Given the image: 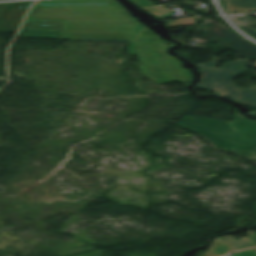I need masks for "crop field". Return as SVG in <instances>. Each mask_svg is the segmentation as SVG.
Here are the masks:
<instances>
[{
  "label": "crop field",
  "mask_w": 256,
  "mask_h": 256,
  "mask_svg": "<svg viewBox=\"0 0 256 256\" xmlns=\"http://www.w3.org/2000/svg\"><path fill=\"white\" fill-rule=\"evenodd\" d=\"M233 256H256V249H252V250L244 251V252H241V253H237Z\"/></svg>",
  "instance_id": "12"
},
{
  "label": "crop field",
  "mask_w": 256,
  "mask_h": 256,
  "mask_svg": "<svg viewBox=\"0 0 256 256\" xmlns=\"http://www.w3.org/2000/svg\"><path fill=\"white\" fill-rule=\"evenodd\" d=\"M178 124L203 134L217 149L256 157V121H249L240 114L233 123L184 117Z\"/></svg>",
  "instance_id": "2"
},
{
  "label": "crop field",
  "mask_w": 256,
  "mask_h": 256,
  "mask_svg": "<svg viewBox=\"0 0 256 256\" xmlns=\"http://www.w3.org/2000/svg\"><path fill=\"white\" fill-rule=\"evenodd\" d=\"M248 34L254 38H256V32L255 31H252V32H248Z\"/></svg>",
  "instance_id": "14"
},
{
  "label": "crop field",
  "mask_w": 256,
  "mask_h": 256,
  "mask_svg": "<svg viewBox=\"0 0 256 256\" xmlns=\"http://www.w3.org/2000/svg\"><path fill=\"white\" fill-rule=\"evenodd\" d=\"M34 1L1 3L0 4V32L16 33L22 20Z\"/></svg>",
  "instance_id": "5"
},
{
  "label": "crop field",
  "mask_w": 256,
  "mask_h": 256,
  "mask_svg": "<svg viewBox=\"0 0 256 256\" xmlns=\"http://www.w3.org/2000/svg\"><path fill=\"white\" fill-rule=\"evenodd\" d=\"M237 76V74L221 68L204 70L199 83L194 89L213 91L218 95L236 100L244 105L256 106V86L244 90L234 85L232 80Z\"/></svg>",
  "instance_id": "3"
},
{
  "label": "crop field",
  "mask_w": 256,
  "mask_h": 256,
  "mask_svg": "<svg viewBox=\"0 0 256 256\" xmlns=\"http://www.w3.org/2000/svg\"><path fill=\"white\" fill-rule=\"evenodd\" d=\"M26 20L64 21L61 39L131 41L130 55H139L144 76L159 84L193 80L190 70L183 69L177 58L167 54L166 43L115 0L38 1Z\"/></svg>",
  "instance_id": "1"
},
{
  "label": "crop field",
  "mask_w": 256,
  "mask_h": 256,
  "mask_svg": "<svg viewBox=\"0 0 256 256\" xmlns=\"http://www.w3.org/2000/svg\"><path fill=\"white\" fill-rule=\"evenodd\" d=\"M255 204V208H256V203H254Z\"/></svg>",
  "instance_id": "15"
},
{
  "label": "crop field",
  "mask_w": 256,
  "mask_h": 256,
  "mask_svg": "<svg viewBox=\"0 0 256 256\" xmlns=\"http://www.w3.org/2000/svg\"><path fill=\"white\" fill-rule=\"evenodd\" d=\"M250 61L246 60H237L228 64L223 65V68L232 72H235L237 74L243 73V70L245 67L249 66ZM242 66H244L242 68Z\"/></svg>",
  "instance_id": "9"
},
{
  "label": "crop field",
  "mask_w": 256,
  "mask_h": 256,
  "mask_svg": "<svg viewBox=\"0 0 256 256\" xmlns=\"http://www.w3.org/2000/svg\"><path fill=\"white\" fill-rule=\"evenodd\" d=\"M227 14H232L225 0H221ZM234 12L256 11V0H228Z\"/></svg>",
  "instance_id": "8"
},
{
  "label": "crop field",
  "mask_w": 256,
  "mask_h": 256,
  "mask_svg": "<svg viewBox=\"0 0 256 256\" xmlns=\"http://www.w3.org/2000/svg\"><path fill=\"white\" fill-rule=\"evenodd\" d=\"M135 4H137L139 7L143 6H151L153 5L149 0H132Z\"/></svg>",
  "instance_id": "13"
},
{
  "label": "crop field",
  "mask_w": 256,
  "mask_h": 256,
  "mask_svg": "<svg viewBox=\"0 0 256 256\" xmlns=\"http://www.w3.org/2000/svg\"><path fill=\"white\" fill-rule=\"evenodd\" d=\"M238 20L242 22L244 25L240 27L244 29L246 32L256 30V21L248 16H237Z\"/></svg>",
  "instance_id": "10"
},
{
  "label": "crop field",
  "mask_w": 256,
  "mask_h": 256,
  "mask_svg": "<svg viewBox=\"0 0 256 256\" xmlns=\"http://www.w3.org/2000/svg\"><path fill=\"white\" fill-rule=\"evenodd\" d=\"M211 41L225 43L230 51L243 59H256V45L217 23L203 30Z\"/></svg>",
  "instance_id": "4"
},
{
  "label": "crop field",
  "mask_w": 256,
  "mask_h": 256,
  "mask_svg": "<svg viewBox=\"0 0 256 256\" xmlns=\"http://www.w3.org/2000/svg\"><path fill=\"white\" fill-rule=\"evenodd\" d=\"M223 243H214L210 246L209 252L202 256H222L226 253L256 247V233L250 235L242 241L235 240L229 236L216 238Z\"/></svg>",
  "instance_id": "7"
},
{
  "label": "crop field",
  "mask_w": 256,
  "mask_h": 256,
  "mask_svg": "<svg viewBox=\"0 0 256 256\" xmlns=\"http://www.w3.org/2000/svg\"><path fill=\"white\" fill-rule=\"evenodd\" d=\"M63 22L26 21L18 37L60 39Z\"/></svg>",
  "instance_id": "6"
},
{
  "label": "crop field",
  "mask_w": 256,
  "mask_h": 256,
  "mask_svg": "<svg viewBox=\"0 0 256 256\" xmlns=\"http://www.w3.org/2000/svg\"><path fill=\"white\" fill-rule=\"evenodd\" d=\"M215 66H218V63H216L215 61H210V62L198 65V68L201 71V70H204L206 68H212V67H215Z\"/></svg>",
  "instance_id": "11"
}]
</instances>
